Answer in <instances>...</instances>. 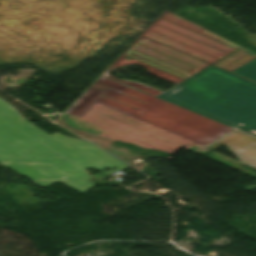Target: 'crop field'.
Returning <instances> with one entry per match:
<instances>
[{
  "mask_svg": "<svg viewBox=\"0 0 256 256\" xmlns=\"http://www.w3.org/2000/svg\"><path fill=\"white\" fill-rule=\"evenodd\" d=\"M0 164L41 186L59 180L81 192L94 185L85 169L128 168L88 142L48 135L1 98Z\"/></svg>",
  "mask_w": 256,
  "mask_h": 256,
  "instance_id": "crop-field-1",
  "label": "crop field"
},
{
  "mask_svg": "<svg viewBox=\"0 0 256 256\" xmlns=\"http://www.w3.org/2000/svg\"><path fill=\"white\" fill-rule=\"evenodd\" d=\"M159 93L103 74L59 119L72 124L92 102L107 106L206 146L235 131L155 98Z\"/></svg>",
  "mask_w": 256,
  "mask_h": 256,
  "instance_id": "crop-field-2",
  "label": "crop field"
},
{
  "mask_svg": "<svg viewBox=\"0 0 256 256\" xmlns=\"http://www.w3.org/2000/svg\"><path fill=\"white\" fill-rule=\"evenodd\" d=\"M157 98L256 136V84L208 67Z\"/></svg>",
  "mask_w": 256,
  "mask_h": 256,
  "instance_id": "crop-field-3",
  "label": "crop field"
},
{
  "mask_svg": "<svg viewBox=\"0 0 256 256\" xmlns=\"http://www.w3.org/2000/svg\"><path fill=\"white\" fill-rule=\"evenodd\" d=\"M143 36L214 62L239 46L166 11L124 55L189 77L209 64L142 39Z\"/></svg>",
  "mask_w": 256,
  "mask_h": 256,
  "instance_id": "crop-field-4",
  "label": "crop field"
},
{
  "mask_svg": "<svg viewBox=\"0 0 256 256\" xmlns=\"http://www.w3.org/2000/svg\"><path fill=\"white\" fill-rule=\"evenodd\" d=\"M222 144L235 154L240 162L256 168L255 138L235 131L207 148L214 150Z\"/></svg>",
  "mask_w": 256,
  "mask_h": 256,
  "instance_id": "crop-field-5",
  "label": "crop field"
},
{
  "mask_svg": "<svg viewBox=\"0 0 256 256\" xmlns=\"http://www.w3.org/2000/svg\"><path fill=\"white\" fill-rule=\"evenodd\" d=\"M255 57L256 54L242 48L213 65L231 72Z\"/></svg>",
  "mask_w": 256,
  "mask_h": 256,
  "instance_id": "crop-field-6",
  "label": "crop field"
},
{
  "mask_svg": "<svg viewBox=\"0 0 256 256\" xmlns=\"http://www.w3.org/2000/svg\"><path fill=\"white\" fill-rule=\"evenodd\" d=\"M232 73L256 82V58L236 69Z\"/></svg>",
  "mask_w": 256,
  "mask_h": 256,
  "instance_id": "crop-field-7",
  "label": "crop field"
}]
</instances>
